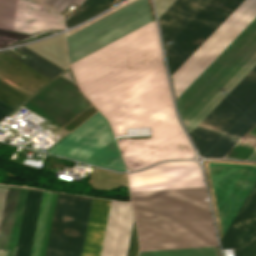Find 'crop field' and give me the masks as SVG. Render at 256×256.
<instances>
[{"instance_id": "obj_15", "label": "crop field", "mask_w": 256, "mask_h": 256, "mask_svg": "<svg viewBox=\"0 0 256 256\" xmlns=\"http://www.w3.org/2000/svg\"><path fill=\"white\" fill-rule=\"evenodd\" d=\"M51 79L0 52V84L20 96L28 99ZM0 100L12 107L20 105L22 100L0 88Z\"/></svg>"}, {"instance_id": "obj_16", "label": "crop field", "mask_w": 256, "mask_h": 256, "mask_svg": "<svg viewBox=\"0 0 256 256\" xmlns=\"http://www.w3.org/2000/svg\"><path fill=\"white\" fill-rule=\"evenodd\" d=\"M28 189L0 187V256H14Z\"/></svg>"}, {"instance_id": "obj_13", "label": "crop field", "mask_w": 256, "mask_h": 256, "mask_svg": "<svg viewBox=\"0 0 256 256\" xmlns=\"http://www.w3.org/2000/svg\"><path fill=\"white\" fill-rule=\"evenodd\" d=\"M130 192L205 186L196 162L163 163L129 174Z\"/></svg>"}, {"instance_id": "obj_7", "label": "crop field", "mask_w": 256, "mask_h": 256, "mask_svg": "<svg viewBox=\"0 0 256 256\" xmlns=\"http://www.w3.org/2000/svg\"><path fill=\"white\" fill-rule=\"evenodd\" d=\"M151 22L146 0H137L67 37L70 63Z\"/></svg>"}, {"instance_id": "obj_26", "label": "crop field", "mask_w": 256, "mask_h": 256, "mask_svg": "<svg viewBox=\"0 0 256 256\" xmlns=\"http://www.w3.org/2000/svg\"><path fill=\"white\" fill-rule=\"evenodd\" d=\"M14 108L8 106L7 104L3 103L2 101H0V112L4 113V114H8L9 112H11Z\"/></svg>"}, {"instance_id": "obj_27", "label": "crop field", "mask_w": 256, "mask_h": 256, "mask_svg": "<svg viewBox=\"0 0 256 256\" xmlns=\"http://www.w3.org/2000/svg\"><path fill=\"white\" fill-rule=\"evenodd\" d=\"M5 116H6V115L0 113V120H1L3 117H5Z\"/></svg>"}, {"instance_id": "obj_23", "label": "crop field", "mask_w": 256, "mask_h": 256, "mask_svg": "<svg viewBox=\"0 0 256 256\" xmlns=\"http://www.w3.org/2000/svg\"><path fill=\"white\" fill-rule=\"evenodd\" d=\"M139 256H217L216 248H195L140 252Z\"/></svg>"}, {"instance_id": "obj_5", "label": "crop field", "mask_w": 256, "mask_h": 256, "mask_svg": "<svg viewBox=\"0 0 256 256\" xmlns=\"http://www.w3.org/2000/svg\"><path fill=\"white\" fill-rule=\"evenodd\" d=\"M47 152L126 171L109 125L98 111Z\"/></svg>"}, {"instance_id": "obj_14", "label": "crop field", "mask_w": 256, "mask_h": 256, "mask_svg": "<svg viewBox=\"0 0 256 256\" xmlns=\"http://www.w3.org/2000/svg\"><path fill=\"white\" fill-rule=\"evenodd\" d=\"M0 28L33 34L64 29V24L61 15L38 3L0 0Z\"/></svg>"}, {"instance_id": "obj_8", "label": "crop field", "mask_w": 256, "mask_h": 256, "mask_svg": "<svg viewBox=\"0 0 256 256\" xmlns=\"http://www.w3.org/2000/svg\"><path fill=\"white\" fill-rule=\"evenodd\" d=\"M91 200L58 193L46 256H81Z\"/></svg>"}, {"instance_id": "obj_25", "label": "crop field", "mask_w": 256, "mask_h": 256, "mask_svg": "<svg viewBox=\"0 0 256 256\" xmlns=\"http://www.w3.org/2000/svg\"><path fill=\"white\" fill-rule=\"evenodd\" d=\"M27 36H29V34L0 29V47L10 43L17 42Z\"/></svg>"}, {"instance_id": "obj_19", "label": "crop field", "mask_w": 256, "mask_h": 256, "mask_svg": "<svg viewBox=\"0 0 256 256\" xmlns=\"http://www.w3.org/2000/svg\"><path fill=\"white\" fill-rule=\"evenodd\" d=\"M210 1L175 0L158 18L164 46L172 42Z\"/></svg>"}, {"instance_id": "obj_21", "label": "crop field", "mask_w": 256, "mask_h": 256, "mask_svg": "<svg viewBox=\"0 0 256 256\" xmlns=\"http://www.w3.org/2000/svg\"><path fill=\"white\" fill-rule=\"evenodd\" d=\"M24 47L17 49L30 57L25 61L8 51H5V53L9 54L10 56L16 58L17 60L23 62L24 64L30 66L31 68L37 70L38 72L44 74L51 79L64 70Z\"/></svg>"}, {"instance_id": "obj_3", "label": "crop field", "mask_w": 256, "mask_h": 256, "mask_svg": "<svg viewBox=\"0 0 256 256\" xmlns=\"http://www.w3.org/2000/svg\"><path fill=\"white\" fill-rule=\"evenodd\" d=\"M256 123V66L190 133L199 155L223 158ZM224 158L256 160V124Z\"/></svg>"}, {"instance_id": "obj_17", "label": "crop field", "mask_w": 256, "mask_h": 256, "mask_svg": "<svg viewBox=\"0 0 256 256\" xmlns=\"http://www.w3.org/2000/svg\"><path fill=\"white\" fill-rule=\"evenodd\" d=\"M221 247L233 248L235 256H256V183L223 237Z\"/></svg>"}, {"instance_id": "obj_22", "label": "crop field", "mask_w": 256, "mask_h": 256, "mask_svg": "<svg viewBox=\"0 0 256 256\" xmlns=\"http://www.w3.org/2000/svg\"><path fill=\"white\" fill-rule=\"evenodd\" d=\"M113 2L114 0H86L66 22V27L76 24L109 7Z\"/></svg>"}, {"instance_id": "obj_11", "label": "crop field", "mask_w": 256, "mask_h": 256, "mask_svg": "<svg viewBox=\"0 0 256 256\" xmlns=\"http://www.w3.org/2000/svg\"><path fill=\"white\" fill-rule=\"evenodd\" d=\"M22 105L62 127L91 104L75 81L61 74Z\"/></svg>"}, {"instance_id": "obj_10", "label": "crop field", "mask_w": 256, "mask_h": 256, "mask_svg": "<svg viewBox=\"0 0 256 256\" xmlns=\"http://www.w3.org/2000/svg\"><path fill=\"white\" fill-rule=\"evenodd\" d=\"M242 1L212 0L183 32L181 31L182 33L180 32L181 34H178L179 36L166 48L167 61L171 74Z\"/></svg>"}, {"instance_id": "obj_18", "label": "crop field", "mask_w": 256, "mask_h": 256, "mask_svg": "<svg viewBox=\"0 0 256 256\" xmlns=\"http://www.w3.org/2000/svg\"><path fill=\"white\" fill-rule=\"evenodd\" d=\"M132 221L131 204L111 201L100 256H126Z\"/></svg>"}, {"instance_id": "obj_6", "label": "crop field", "mask_w": 256, "mask_h": 256, "mask_svg": "<svg viewBox=\"0 0 256 256\" xmlns=\"http://www.w3.org/2000/svg\"><path fill=\"white\" fill-rule=\"evenodd\" d=\"M256 17V0H244L171 75L176 99Z\"/></svg>"}, {"instance_id": "obj_9", "label": "crop field", "mask_w": 256, "mask_h": 256, "mask_svg": "<svg viewBox=\"0 0 256 256\" xmlns=\"http://www.w3.org/2000/svg\"><path fill=\"white\" fill-rule=\"evenodd\" d=\"M222 234L256 181V165L207 162Z\"/></svg>"}, {"instance_id": "obj_4", "label": "crop field", "mask_w": 256, "mask_h": 256, "mask_svg": "<svg viewBox=\"0 0 256 256\" xmlns=\"http://www.w3.org/2000/svg\"><path fill=\"white\" fill-rule=\"evenodd\" d=\"M255 52L256 18L176 100L184 124L201 109ZM255 65L256 53L185 125L189 133ZM225 91L227 93L224 94L223 92Z\"/></svg>"}, {"instance_id": "obj_1", "label": "crop field", "mask_w": 256, "mask_h": 256, "mask_svg": "<svg viewBox=\"0 0 256 256\" xmlns=\"http://www.w3.org/2000/svg\"><path fill=\"white\" fill-rule=\"evenodd\" d=\"M155 22L70 64L80 90L109 120L115 135L151 126L152 137L122 153L129 170L158 161L188 159L195 151L176 115Z\"/></svg>"}, {"instance_id": "obj_2", "label": "crop field", "mask_w": 256, "mask_h": 256, "mask_svg": "<svg viewBox=\"0 0 256 256\" xmlns=\"http://www.w3.org/2000/svg\"><path fill=\"white\" fill-rule=\"evenodd\" d=\"M205 187L131 193L140 251L218 246Z\"/></svg>"}, {"instance_id": "obj_12", "label": "crop field", "mask_w": 256, "mask_h": 256, "mask_svg": "<svg viewBox=\"0 0 256 256\" xmlns=\"http://www.w3.org/2000/svg\"><path fill=\"white\" fill-rule=\"evenodd\" d=\"M42 191L29 189L16 256H29ZM57 193L43 191L31 256H44Z\"/></svg>"}, {"instance_id": "obj_20", "label": "crop field", "mask_w": 256, "mask_h": 256, "mask_svg": "<svg viewBox=\"0 0 256 256\" xmlns=\"http://www.w3.org/2000/svg\"><path fill=\"white\" fill-rule=\"evenodd\" d=\"M109 203L93 198L82 256H99Z\"/></svg>"}, {"instance_id": "obj_24", "label": "crop field", "mask_w": 256, "mask_h": 256, "mask_svg": "<svg viewBox=\"0 0 256 256\" xmlns=\"http://www.w3.org/2000/svg\"><path fill=\"white\" fill-rule=\"evenodd\" d=\"M36 1H39L45 5H48L61 13L73 3L80 6L85 0H36ZM75 11H73L68 17H66L65 21H67Z\"/></svg>"}]
</instances>
